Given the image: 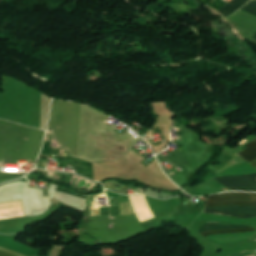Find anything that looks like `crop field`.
Returning <instances> with one entry per match:
<instances>
[{
    "mask_svg": "<svg viewBox=\"0 0 256 256\" xmlns=\"http://www.w3.org/2000/svg\"><path fill=\"white\" fill-rule=\"evenodd\" d=\"M249 164H251L256 169V160L251 162V163H249Z\"/></svg>",
    "mask_w": 256,
    "mask_h": 256,
    "instance_id": "obj_8",
    "label": "crop field"
},
{
    "mask_svg": "<svg viewBox=\"0 0 256 256\" xmlns=\"http://www.w3.org/2000/svg\"><path fill=\"white\" fill-rule=\"evenodd\" d=\"M245 147H247L248 149L238 153V155H240L247 162L256 159V139Z\"/></svg>",
    "mask_w": 256,
    "mask_h": 256,
    "instance_id": "obj_5",
    "label": "crop field"
},
{
    "mask_svg": "<svg viewBox=\"0 0 256 256\" xmlns=\"http://www.w3.org/2000/svg\"><path fill=\"white\" fill-rule=\"evenodd\" d=\"M249 226H242V225H223L220 226L219 223H209L205 226L201 227L199 230V233L207 231V230H213V229H235V228H247ZM249 231H256L254 228H248V229H236V230H214V231H208L201 233L203 237L210 236L213 234H224V233H241V232H249Z\"/></svg>",
    "mask_w": 256,
    "mask_h": 256,
    "instance_id": "obj_3",
    "label": "crop field"
},
{
    "mask_svg": "<svg viewBox=\"0 0 256 256\" xmlns=\"http://www.w3.org/2000/svg\"><path fill=\"white\" fill-rule=\"evenodd\" d=\"M205 207H256V194L225 193L216 195L207 200ZM204 213L252 218L256 216V208H205Z\"/></svg>",
    "mask_w": 256,
    "mask_h": 256,
    "instance_id": "obj_1",
    "label": "crop field"
},
{
    "mask_svg": "<svg viewBox=\"0 0 256 256\" xmlns=\"http://www.w3.org/2000/svg\"><path fill=\"white\" fill-rule=\"evenodd\" d=\"M241 10L256 16V0H251L250 3L246 5L244 8H242ZM253 41L256 42V33L254 35Z\"/></svg>",
    "mask_w": 256,
    "mask_h": 256,
    "instance_id": "obj_6",
    "label": "crop field"
},
{
    "mask_svg": "<svg viewBox=\"0 0 256 256\" xmlns=\"http://www.w3.org/2000/svg\"><path fill=\"white\" fill-rule=\"evenodd\" d=\"M223 186L232 191H255L256 192V174L215 178ZM214 179V180H215Z\"/></svg>",
    "mask_w": 256,
    "mask_h": 256,
    "instance_id": "obj_2",
    "label": "crop field"
},
{
    "mask_svg": "<svg viewBox=\"0 0 256 256\" xmlns=\"http://www.w3.org/2000/svg\"><path fill=\"white\" fill-rule=\"evenodd\" d=\"M0 256H20V255L0 249Z\"/></svg>",
    "mask_w": 256,
    "mask_h": 256,
    "instance_id": "obj_7",
    "label": "crop field"
},
{
    "mask_svg": "<svg viewBox=\"0 0 256 256\" xmlns=\"http://www.w3.org/2000/svg\"><path fill=\"white\" fill-rule=\"evenodd\" d=\"M249 0H232L230 3L219 9L218 11L224 16H229L235 11L239 10Z\"/></svg>",
    "mask_w": 256,
    "mask_h": 256,
    "instance_id": "obj_4",
    "label": "crop field"
}]
</instances>
